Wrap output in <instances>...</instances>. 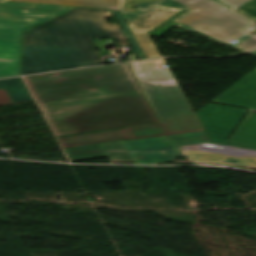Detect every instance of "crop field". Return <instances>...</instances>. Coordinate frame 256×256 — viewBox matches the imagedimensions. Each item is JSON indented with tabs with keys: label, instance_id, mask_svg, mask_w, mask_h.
Returning a JSON list of instances; mask_svg holds the SVG:
<instances>
[{
	"label": "crop field",
	"instance_id": "crop-field-1",
	"mask_svg": "<svg viewBox=\"0 0 256 256\" xmlns=\"http://www.w3.org/2000/svg\"><path fill=\"white\" fill-rule=\"evenodd\" d=\"M24 79L56 136L159 122L127 64Z\"/></svg>",
	"mask_w": 256,
	"mask_h": 256
},
{
	"label": "crop field",
	"instance_id": "crop-field-2",
	"mask_svg": "<svg viewBox=\"0 0 256 256\" xmlns=\"http://www.w3.org/2000/svg\"><path fill=\"white\" fill-rule=\"evenodd\" d=\"M109 11L77 8L25 33L21 75L101 63L93 40L114 37L128 45Z\"/></svg>",
	"mask_w": 256,
	"mask_h": 256
},
{
	"label": "crop field",
	"instance_id": "crop-field-3",
	"mask_svg": "<svg viewBox=\"0 0 256 256\" xmlns=\"http://www.w3.org/2000/svg\"><path fill=\"white\" fill-rule=\"evenodd\" d=\"M133 6L144 11L153 6L190 10L175 20L180 23L178 27L244 51L256 46V34L242 31L252 22L214 0H164ZM233 40L238 42L233 45L230 43Z\"/></svg>",
	"mask_w": 256,
	"mask_h": 256
},
{
	"label": "crop field",
	"instance_id": "crop-field-4",
	"mask_svg": "<svg viewBox=\"0 0 256 256\" xmlns=\"http://www.w3.org/2000/svg\"><path fill=\"white\" fill-rule=\"evenodd\" d=\"M73 8L0 2V77L19 74L23 31Z\"/></svg>",
	"mask_w": 256,
	"mask_h": 256
},
{
	"label": "crop field",
	"instance_id": "crop-field-5",
	"mask_svg": "<svg viewBox=\"0 0 256 256\" xmlns=\"http://www.w3.org/2000/svg\"><path fill=\"white\" fill-rule=\"evenodd\" d=\"M209 142L204 131L122 142L134 164L171 161L183 156L179 146Z\"/></svg>",
	"mask_w": 256,
	"mask_h": 256
},
{
	"label": "crop field",
	"instance_id": "crop-field-6",
	"mask_svg": "<svg viewBox=\"0 0 256 256\" xmlns=\"http://www.w3.org/2000/svg\"><path fill=\"white\" fill-rule=\"evenodd\" d=\"M136 76L159 119L192 110L172 73L147 71Z\"/></svg>",
	"mask_w": 256,
	"mask_h": 256
},
{
	"label": "crop field",
	"instance_id": "crop-field-7",
	"mask_svg": "<svg viewBox=\"0 0 256 256\" xmlns=\"http://www.w3.org/2000/svg\"><path fill=\"white\" fill-rule=\"evenodd\" d=\"M136 13L121 11L147 58L162 56L150 39L148 32L180 12L177 9L153 7L144 12L137 8Z\"/></svg>",
	"mask_w": 256,
	"mask_h": 256
},
{
	"label": "crop field",
	"instance_id": "crop-field-8",
	"mask_svg": "<svg viewBox=\"0 0 256 256\" xmlns=\"http://www.w3.org/2000/svg\"><path fill=\"white\" fill-rule=\"evenodd\" d=\"M247 112L208 104L196 114L211 142L224 143Z\"/></svg>",
	"mask_w": 256,
	"mask_h": 256
},
{
	"label": "crop field",
	"instance_id": "crop-field-9",
	"mask_svg": "<svg viewBox=\"0 0 256 256\" xmlns=\"http://www.w3.org/2000/svg\"><path fill=\"white\" fill-rule=\"evenodd\" d=\"M162 123L127 128L132 139L200 131L202 130L193 111H187L161 119Z\"/></svg>",
	"mask_w": 256,
	"mask_h": 256
},
{
	"label": "crop field",
	"instance_id": "crop-field-10",
	"mask_svg": "<svg viewBox=\"0 0 256 256\" xmlns=\"http://www.w3.org/2000/svg\"><path fill=\"white\" fill-rule=\"evenodd\" d=\"M211 103L256 110V70L219 95Z\"/></svg>",
	"mask_w": 256,
	"mask_h": 256
},
{
	"label": "crop field",
	"instance_id": "crop-field-11",
	"mask_svg": "<svg viewBox=\"0 0 256 256\" xmlns=\"http://www.w3.org/2000/svg\"><path fill=\"white\" fill-rule=\"evenodd\" d=\"M127 139L125 128L58 138L62 148Z\"/></svg>",
	"mask_w": 256,
	"mask_h": 256
},
{
	"label": "crop field",
	"instance_id": "crop-field-12",
	"mask_svg": "<svg viewBox=\"0 0 256 256\" xmlns=\"http://www.w3.org/2000/svg\"><path fill=\"white\" fill-rule=\"evenodd\" d=\"M226 144L256 149V113H248Z\"/></svg>",
	"mask_w": 256,
	"mask_h": 256
},
{
	"label": "crop field",
	"instance_id": "crop-field-13",
	"mask_svg": "<svg viewBox=\"0 0 256 256\" xmlns=\"http://www.w3.org/2000/svg\"><path fill=\"white\" fill-rule=\"evenodd\" d=\"M14 2L82 6L112 10H123L124 0H5Z\"/></svg>",
	"mask_w": 256,
	"mask_h": 256
},
{
	"label": "crop field",
	"instance_id": "crop-field-14",
	"mask_svg": "<svg viewBox=\"0 0 256 256\" xmlns=\"http://www.w3.org/2000/svg\"><path fill=\"white\" fill-rule=\"evenodd\" d=\"M190 160L203 162H223L241 166H256V158H230L217 154L186 151Z\"/></svg>",
	"mask_w": 256,
	"mask_h": 256
},
{
	"label": "crop field",
	"instance_id": "crop-field-15",
	"mask_svg": "<svg viewBox=\"0 0 256 256\" xmlns=\"http://www.w3.org/2000/svg\"><path fill=\"white\" fill-rule=\"evenodd\" d=\"M0 89H5L12 103L32 100L21 78L0 80Z\"/></svg>",
	"mask_w": 256,
	"mask_h": 256
},
{
	"label": "crop field",
	"instance_id": "crop-field-16",
	"mask_svg": "<svg viewBox=\"0 0 256 256\" xmlns=\"http://www.w3.org/2000/svg\"><path fill=\"white\" fill-rule=\"evenodd\" d=\"M64 151L70 160H78L106 155L101 145L67 148L64 149Z\"/></svg>",
	"mask_w": 256,
	"mask_h": 256
},
{
	"label": "crop field",
	"instance_id": "crop-field-17",
	"mask_svg": "<svg viewBox=\"0 0 256 256\" xmlns=\"http://www.w3.org/2000/svg\"><path fill=\"white\" fill-rule=\"evenodd\" d=\"M114 14L115 18L120 21V27L124 34L126 35L127 39L129 40L130 44L132 45L137 57L144 56L137 40L135 39L132 31L130 30L129 26L126 24L124 18L122 17L120 12L112 11Z\"/></svg>",
	"mask_w": 256,
	"mask_h": 256
},
{
	"label": "crop field",
	"instance_id": "crop-field-18",
	"mask_svg": "<svg viewBox=\"0 0 256 256\" xmlns=\"http://www.w3.org/2000/svg\"><path fill=\"white\" fill-rule=\"evenodd\" d=\"M186 10H182L180 13H178L177 15H175L174 17H172L171 19H169L167 22H165L164 24H162L160 27L152 30L149 35L151 37H154L155 35L160 37L162 34H164L166 31H168L169 29H171L174 26H177L179 24L172 22L173 20H175L176 18H178L179 16L183 15L184 13H186Z\"/></svg>",
	"mask_w": 256,
	"mask_h": 256
},
{
	"label": "crop field",
	"instance_id": "crop-field-19",
	"mask_svg": "<svg viewBox=\"0 0 256 256\" xmlns=\"http://www.w3.org/2000/svg\"><path fill=\"white\" fill-rule=\"evenodd\" d=\"M235 10L256 21V0H251Z\"/></svg>",
	"mask_w": 256,
	"mask_h": 256
},
{
	"label": "crop field",
	"instance_id": "crop-field-20",
	"mask_svg": "<svg viewBox=\"0 0 256 256\" xmlns=\"http://www.w3.org/2000/svg\"><path fill=\"white\" fill-rule=\"evenodd\" d=\"M102 147L104 148L107 155L126 153L124 147L122 146V144L120 142L103 144Z\"/></svg>",
	"mask_w": 256,
	"mask_h": 256
},
{
	"label": "crop field",
	"instance_id": "crop-field-21",
	"mask_svg": "<svg viewBox=\"0 0 256 256\" xmlns=\"http://www.w3.org/2000/svg\"><path fill=\"white\" fill-rule=\"evenodd\" d=\"M132 67L133 71H140V70H146L150 68L151 66H155L149 61H142V62H136V63H129Z\"/></svg>",
	"mask_w": 256,
	"mask_h": 256
},
{
	"label": "crop field",
	"instance_id": "crop-field-22",
	"mask_svg": "<svg viewBox=\"0 0 256 256\" xmlns=\"http://www.w3.org/2000/svg\"><path fill=\"white\" fill-rule=\"evenodd\" d=\"M232 8H237L239 6H241L242 4L248 2L249 0H218Z\"/></svg>",
	"mask_w": 256,
	"mask_h": 256
},
{
	"label": "crop field",
	"instance_id": "crop-field-23",
	"mask_svg": "<svg viewBox=\"0 0 256 256\" xmlns=\"http://www.w3.org/2000/svg\"><path fill=\"white\" fill-rule=\"evenodd\" d=\"M149 1H159V0H126L125 11L136 12L132 6V3L149 2Z\"/></svg>",
	"mask_w": 256,
	"mask_h": 256
},
{
	"label": "crop field",
	"instance_id": "crop-field-24",
	"mask_svg": "<svg viewBox=\"0 0 256 256\" xmlns=\"http://www.w3.org/2000/svg\"><path fill=\"white\" fill-rule=\"evenodd\" d=\"M112 162H132L128 154L109 156Z\"/></svg>",
	"mask_w": 256,
	"mask_h": 256
},
{
	"label": "crop field",
	"instance_id": "crop-field-25",
	"mask_svg": "<svg viewBox=\"0 0 256 256\" xmlns=\"http://www.w3.org/2000/svg\"><path fill=\"white\" fill-rule=\"evenodd\" d=\"M11 103L9 97L7 96L5 90H0V105Z\"/></svg>",
	"mask_w": 256,
	"mask_h": 256
},
{
	"label": "crop field",
	"instance_id": "crop-field-26",
	"mask_svg": "<svg viewBox=\"0 0 256 256\" xmlns=\"http://www.w3.org/2000/svg\"><path fill=\"white\" fill-rule=\"evenodd\" d=\"M149 70H151L152 72H155V71H158L159 69H158V66H156V67H152V68L149 69ZM163 70H165V69H163ZM167 70L170 71L169 69H167ZM141 72H144V71L136 72L135 74H139V73H141Z\"/></svg>",
	"mask_w": 256,
	"mask_h": 256
},
{
	"label": "crop field",
	"instance_id": "crop-field-27",
	"mask_svg": "<svg viewBox=\"0 0 256 256\" xmlns=\"http://www.w3.org/2000/svg\"><path fill=\"white\" fill-rule=\"evenodd\" d=\"M152 62L156 63L159 66L163 64L161 59L152 60Z\"/></svg>",
	"mask_w": 256,
	"mask_h": 256
},
{
	"label": "crop field",
	"instance_id": "crop-field-28",
	"mask_svg": "<svg viewBox=\"0 0 256 256\" xmlns=\"http://www.w3.org/2000/svg\"><path fill=\"white\" fill-rule=\"evenodd\" d=\"M251 54L256 55V49L253 52H251Z\"/></svg>",
	"mask_w": 256,
	"mask_h": 256
},
{
	"label": "crop field",
	"instance_id": "crop-field-29",
	"mask_svg": "<svg viewBox=\"0 0 256 256\" xmlns=\"http://www.w3.org/2000/svg\"><path fill=\"white\" fill-rule=\"evenodd\" d=\"M213 144V143H212ZM220 145V144H219ZM227 146V145H226ZM233 147V146H232ZM239 148V147H238ZM245 149V148H244ZM251 150V149H250Z\"/></svg>",
	"mask_w": 256,
	"mask_h": 256
}]
</instances>
